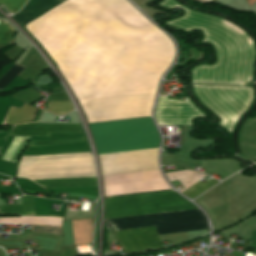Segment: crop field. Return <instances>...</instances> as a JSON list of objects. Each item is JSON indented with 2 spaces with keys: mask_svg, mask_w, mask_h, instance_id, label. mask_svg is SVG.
I'll use <instances>...</instances> for the list:
<instances>
[{
  "mask_svg": "<svg viewBox=\"0 0 256 256\" xmlns=\"http://www.w3.org/2000/svg\"><path fill=\"white\" fill-rule=\"evenodd\" d=\"M27 31L50 57L173 44L126 0H66ZM174 45L52 58L88 123L151 116Z\"/></svg>",
  "mask_w": 256,
  "mask_h": 256,
  "instance_id": "1",
  "label": "crop field"
},
{
  "mask_svg": "<svg viewBox=\"0 0 256 256\" xmlns=\"http://www.w3.org/2000/svg\"><path fill=\"white\" fill-rule=\"evenodd\" d=\"M158 5L168 9H183V17L166 24L184 31L202 30V42L211 43L216 50L217 61L214 65L192 68L193 83L244 85L251 80L254 46L242 30L220 18L189 10L174 0H164Z\"/></svg>",
  "mask_w": 256,
  "mask_h": 256,
  "instance_id": "2",
  "label": "crop field"
},
{
  "mask_svg": "<svg viewBox=\"0 0 256 256\" xmlns=\"http://www.w3.org/2000/svg\"><path fill=\"white\" fill-rule=\"evenodd\" d=\"M196 208L174 191L105 199L104 219ZM108 231L154 226L158 235L209 229L199 209L104 220Z\"/></svg>",
  "mask_w": 256,
  "mask_h": 256,
  "instance_id": "3",
  "label": "crop field"
},
{
  "mask_svg": "<svg viewBox=\"0 0 256 256\" xmlns=\"http://www.w3.org/2000/svg\"><path fill=\"white\" fill-rule=\"evenodd\" d=\"M19 178L30 180L96 176L90 152L22 156L19 162ZM45 188L97 186L96 178L35 181Z\"/></svg>",
  "mask_w": 256,
  "mask_h": 256,
  "instance_id": "4",
  "label": "crop field"
},
{
  "mask_svg": "<svg viewBox=\"0 0 256 256\" xmlns=\"http://www.w3.org/2000/svg\"><path fill=\"white\" fill-rule=\"evenodd\" d=\"M98 154L158 147L151 118L89 125Z\"/></svg>",
  "mask_w": 256,
  "mask_h": 256,
  "instance_id": "5",
  "label": "crop field"
},
{
  "mask_svg": "<svg viewBox=\"0 0 256 256\" xmlns=\"http://www.w3.org/2000/svg\"><path fill=\"white\" fill-rule=\"evenodd\" d=\"M198 99L221 119L220 126L232 132L236 120L253 100L252 88L193 84Z\"/></svg>",
  "mask_w": 256,
  "mask_h": 256,
  "instance_id": "6",
  "label": "crop field"
},
{
  "mask_svg": "<svg viewBox=\"0 0 256 256\" xmlns=\"http://www.w3.org/2000/svg\"><path fill=\"white\" fill-rule=\"evenodd\" d=\"M155 116L159 125H192V119L205 115L197 110L187 97L183 101L160 97Z\"/></svg>",
  "mask_w": 256,
  "mask_h": 256,
  "instance_id": "7",
  "label": "crop field"
},
{
  "mask_svg": "<svg viewBox=\"0 0 256 256\" xmlns=\"http://www.w3.org/2000/svg\"><path fill=\"white\" fill-rule=\"evenodd\" d=\"M125 253L162 248L153 227L112 232Z\"/></svg>",
  "mask_w": 256,
  "mask_h": 256,
  "instance_id": "8",
  "label": "crop field"
},
{
  "mask_svg": "<svg viewBox=\"0 0 256 256\" xmlns=\"http://www.w3.org/2000/svg\"><path fill=\"white\" fill-rule=\"evenodd\" d=\"M50 133H81L79 124H38V122L15 125L10 135L49 136Z\"/></svg>",
  "mask_w": 256,
  "mask_h": 256,
  "instance_id": "9",
  "label": "crop field"
},
{
  "mask_svg": "<svg viewBox=\"0 0 256 256\" xmlns=\"http://www.w3.org/2000/svg\"><path fill=\"white\" fill-rule=\"evenodd\" d=\"M167 176L170 181L179 180L180 183L185 188L188 185H190L191 183H193L194 181H196L197 179H199L200 177H202L203 174H200V173L194 172V171H190V170H184V171L169 173V174H167ZM216 183H218V182L214 179H211L202 185L197 181L194 184L187 187L182 192L187 194L189 197L194 198L199 193H201L202 191L206 190L207 188L213 186Z\"/></svg>",
  "mask_w": 256,
  "mask_h": 256,
  "instance_id": "10",
  "label": "crop field"
},
{
  "mask_svg": "<svg viewBox=\"0 0 256 256\" xmlns=\"http://www.w3.org/2000/svg\"><path fill=\"white\" fill-rule=\"evenodd\" d=\"M59 2L58 0H30L25 7L15 14L12 18L18 23L23 24L34 16L38 15L42 11L51 7L55 3Z\"/></svg>",
  "mask_w": 256,
  "mask_h": 256,
  "instance_id": "11",
  "label": "crop field"
},
{
  "mask_svg": "<svg viewBox=\"0 0 256 256\" xmlns=\"http://www.w3.org/2000/svg\"><path fill=\"white\" fill-rule=\"evenodd\" d=\"M37 109L23 104L20 109L10 106L1 125L20 124L33 120Z\"/></svg>",
  "mask_w": 256,
  "mask_h": 256,
  "instance_id": "12",
  "label": "crop field"
},
{
  "mask_svg": "<svg viewBox=\"0 0 256 256\" xmlns=\"http://www.w3.org/2000/svg\"><path fill=\"white\" fill-rule=\"evenodd\" d=\"M0 213L35 215L33 197L23 196V205L0 206Z\"/></svg>",
  "mask_w": 256,
  "mask_h": 256,
  "instance_id": "13",
  "label": "crop field"
},
{
  "mask_svg": "<svg viewBox=\"0 0 256 256\" xmlns=\"http://www.w3.org/2000/svg\"><path fill=\"white\" fill-rule=\"evenodd\" d=\"M15 32L6 21L0 25V49L13 43Z\"/></svg>",
  "mask_w": 256,
  "mask_h": 256,
  "instance_id": "14",
  "label": "crop field"
},
{
  "mask_svg": "<svg viewBox=\"0 0 256 256\" xmlns=\"http://www.w3.org/2000/svg\"><path fill=\"white\" fill-rule=\"evenodd\" d=\"M22 137H14L13 141L9 145L8 149L6 150L5 154L3 155L2 159L9 161L13 152L15 151L16 147L18 146L19 142L21 141ZM27 137H23L22 141L20 142L19 146L17 147L16 151L14 152L11 162H14L16 156L18 155L20 149L22 148L23 144L25 143Z\"/></svg>",
  "mask_w": 256,
  "mask_h": 256,
  "instance_id": "15",
  "label": "crop field"
},
{
  "mask_svg": "<svg viewBox=\"0 0 256 256\" xmlns=\"http://www.w3.org/2000/svg\"><path fill=\"white\" fill-rule=\"evenodd\" d=\"M71 110H73V107L70 101L48 102V112H52L59 115H65Z\"/></svg>",
  "mask_w": 256,
  "mask_h": 256,
  "instance_id": "16",
  "label": "crop field"
},
{
  "mask_svg": "<svg viewBox=\"0 0 256 256\" xmlns=\"http://www.w3.org/2000/svg\"><path fill=\"white\" fill-rule=\"evenodd\" d=\"M23 69L24 67L14 65L2 77H0V90L14 79Z\"/></svg>",
  "mask_w": 256,
  "mask_h": 256,
  "instance_id": "17",
  "label": "crop field"
},
{
  "mask_svg": "<svg viewBox=\"0 0 256 256\" xmlns=\"http://www.w3.org/2000/svg\"><path fill=\"white\" fill-rule=\"evenodd\" d=\"M85 138H71V139H61V140H53V141H43V142H31L29 147L36 146H48L54 144H63V143H74V142H84Z\"/></svg>",
  "mask_w": 256,
  "mask_h": 256,
  "instance_id": "18",
  "label": "crop field"
},
{
  "mask_svg": "<svg viewBox=\"0 0 256 256\" xmlns=\"http://www.w3.org/2000/svg\"><path fill=\"white\" fill-rule=\"evenodd\" d=\"M25 1L26 0H0V3L6 5L9 11L16 12L22 7Z\"/></svg>",
  "mask_w": 256,
  "mask_h": 256,
  "instance_id": "19",
  "label": "crop field"
},
{
  "mask_svg": "<svg viewBox=\"0 0 256 256\" xmlns=\"http://www.w3.org/2000/svg\"><path fill=\"white\" fill-rule=\"evenodd\" d=\"M200 1L209 3L211 0H200Z\"/></svg>",
  "mask_w": 256,
  "mask_h": 256,
  "instance_id": "20",
  "label": "crop field"
},
{
  "mask_svg": "<svg viewBox=\"0 0 256 256\" xmlns=\"http://www.w3.org/2000/svg\"><path fill=\"white\" fill-rule=\"evenodd\" d=\"M63 1V0H62Z\"/></svg>",
  "mask_w": 256,
  "mask_h": 256,
  "instance_id": "21",
  "label": "crop field"
}]
</instances>
